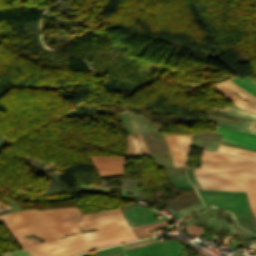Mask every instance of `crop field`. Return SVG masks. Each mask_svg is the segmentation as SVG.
<instances>
[{
    "label": "crop field",
    "instance_id": "obj_1",
    "mask_svg": "<svg viewBox=\"0 0 256 256\" xmlns=\"http://www.w3.org/2000/svg\"><path fill=\"white\" fill-rule=\"evenodd\" d=\"M195 175L203 189L246 191L256 220V163L202 155Z\"/></svg>",
    "mask_w": 256,
    "mask_h": 256
},
{
    "label": "crop field",
    "instance_id": "obj_2",
    "mask_svg": "<svg viewBox=\"0 0 256 256\" xmlns=\"http://www.w3.org/2000/svg\"><path fill=\"white\" fill-rule=\"evenodd\" d=\"M78 217L69 218L61 221H56L52 223H47L43 225H38L34 227H29L21 230L12 231L11 234H20L70 223L77 222ZM80 232L78 229L77 223L15 235L14 238L17 242L21 245L22 248L32 246L35 244H39V240L34 239L32 237L24 238L26 235L34 234L35 236L42 239L44 242L57 239L60 236H65L73 233ZM43 243V242H42ZM25 250L37 255V256H70L82 251L90 250V247L85 242L84 238L82 237L81 233L75 234L72 236H68L65 238L57 239L54 241L46 242L43 244L35 245L32 247L24 248Z\"/></svg>",
    "mask_w": 256,
    "mask_h": 256
},
{
    "label": "crop field",
    "instance_id": "obj_3",
    "mask_svg": "<svg viewBox=\"0 0 256 256\" xmlns=\"http://www.w3.org/2000/svg\"><path fill=\"white\" fill-rule=\"evenodd\" d=\"M79 225L81 229H99L83 234L87 242L133 234L119 209L83 215Z\"/></svg>",
    "mask_w": 256,
    "mask_h": 256
},
{
    "label": "crop field",
    "instance_id": "obj_4",
    "mask_svg": "<svg viewBox=\"0 0 256 256\" xmlns=\"http://www.w3.org/2000/svg\"><path fill=\"white\" fill-rule=\"evenodd\" d=\"M81 215L76 208L26 210L0 216L9 231Z\"/></svg>",
    "mask_w": 256,
    "mask_h": 256
},
{
    "label": "crop field",
    "instance_id": "obj_5",
    "mask_svg": "<svg viewBox=\"0 0 256 256\" xmlns=\"http://www.w3.org/2000/svg\"><path fill=\"white\" fill-rule=\"evenodd\" d=\"M180 249L178 243L169 240L161 243L147 245L124 251L126 256H178L183 253L178 252Z\"/></svg>",
    "mask_w": 256,
    "mask_h": 256
},
{
    "label": "crop field",
    "instance_id": "obj_6",
    "mask_svg": "<svg viewBox=\"0 0 256 256\" xmlns=\"http://www.w3.org/2000/svg\"><path fill=\"white\" fill-rule=\"evenodd\" d=\"M204 204H211L232 213L249 214L245 198L200 195Z\"/></svg>",
    "mask_w": 256,
    "mask_h": 256
},
{
    "label": "crop field",
    "instance_id": "obj_7",
    "mask_svg": "<svg viewBox=\"0 0 256 256\" xmlns=\"http://www.w3.org/2000/svg\"><path fill=\"white\" fill-rule=\"evenodd\" d=\"M90 158L100 176L110 177L115 175H124L122 172L124 157L94 156Z\"/></svg>",
    "mask_w": 256,
    "mask_h": 256
},
{
    "label": "crop field",
    "instance_id": "obj_8",
    "mask_svg": "<svg viewBox=\"0 0 256 256\" xmlns=\"http://www.w3.org/2000/svg\"><path fill=\"white\" fill-rule=\"evenodd\" d=\"M202 154L256 162V152L222 144L219 145L217 152L204 149Z\"/></svg>",
    "mask_w": 256,
    "mask_h": 256
},
{
    "label": "crop field",
    "instance_id": "obj_9",
    "mask_svg": "<svg viewBox=\"0 0 256 256\" xmlns=\"http://www.w3.org/2000/svg\"><path fill=\"white\" fill-rule=\"evenodd\" d=\"M216 132L223 134V136L221 138L223 140L256 147V135L238 131V130H234V129H230V128H226V127L219 126V125H217Z\"/></svg>",
    "mask_w": 256,
    "mask_h": 256
},
{
    "label": "crop field",
    "instance_id": "obj_10",
    "mask_svg": "<svg viewBox=\"0 0 256 256\" xmlns=\"http://www.w3.org/2000/svg\"><path fill=\"white\" fill-rule=\"evenodd\" d=\"M217 111L248 118L241 130L256 134V114L225 106L224 109L214 108Z\"/></svg>",
    "mask_w": 256,
    "mask_h": 256
},
{
    "label": "crop field",
    "instance_id": "obj_11",
    "mask_svg": "<svg viewBox=\"0 0 256 256\" xmlns=\"http://www.w3.org/2000/svg\"><path fill=\"white\" fill-rule=\"evenodd\" d=\"M133 240H136V239L134 235H131V236L113 238L108 240L90 242L89 245L91 246V248H99V247L109 246L116 243H122V242L133 241Z\"/></svg>",
    "mask_w": 256,
    "mask_h": 256
},
{
    "label": "crop field",
    "instance_id": "obj_12",
    "mask_svg": "<svg viewBox=\"0 0 256 256\" xmlns=\"http://www.w3.org/2000/svg\"><path fill=\"white\" fill-rule=\"evenodd\" d=\"M220 83L223 84L224 86L232 89L237 94H239L241 97L247 99L254 106H256V98L254 96H252L251 94H249L248 92H246L245 90H243L242 88H240L239 86H237L236 84H234L233 82H231L230 80L227 79V80H225L223 82H220Z\"/></svg>",
    "mask_w": 256,
    "mask_h": 256
},
{
    "label": "crop field",
    "instance_id": "obj_13",
    "mask_svg": "<svg viewBox=\"0 0 256 256\" xmlns=\"http://www.w3.org/2000/svg\"><path fill=\"white\" fill-rule=\"evenodd\" d=\"M170 221H162V222H157V223H152V224H147L143 226H138V227H133L132 230L134 231L135 235L137 236L138 239L149 237V234L146 229L165 225V224H170Z\"/></svg>",
    "mask_w": 256,
    "mask_h": 256
},
{
    "label": "crop field",
    "instance_id": "obj_14",
    "mask_svg": "<svg viewBox=\"0 0 256 256\" xmlns=\"http://www.w3.org/2000/svg\"><path fill=\"white\" fill-rule=\"evenodd\" d=\"M229 79L256 97V91L253 90L251 87L234 77Z\"/></svg>",
    "mask_w": 256,
    "mask_h": 256
},
{
    "label": "crop field",
    "instance_id": "obj_15",
    "mask_svg": "<svg viewBox=\"0 0 256 256\" xmlns=\"http://www.w3.org/2000/svg\"><path fill=\"white\" fill-rule=\"evenodd\" d=\"M184 229H186L187 231H189V232H191V233H193L195 235H199L200 233L203 232L202 228H200L198 226H194V225H191V226H189L187 228H184Z\"/></svg>",
    "mask_w": 256,
    "mask_h": 256
},
{
    "label": "crop field",
    "instance_id": "obj_16",
    "mask_svg": "<svg viewBox=\"0 0 256 256\" xmlns=\"http://www.w3.org/2000/svg\"><path fill=\"white\" fill-rule=\"evenodd\" d=\"M0 256H32V255L24 252L23 250H20V251L10 252L6 254H1Z\"/></svg>",
    "mask_w": 256,
    "mask_h": 256
},
{
    "label": "crop field",
    "instance_id": "obj_17",
    "mask_svg": "<svg viewBox=\"0 0 256 256\" xmlns=\"http://www.w3.org/2000/svg\"><path fill=\"white\" fill-rule=\"evenodd\" d=\"M244 82H246L247 84H249L250 86H252L253 88L256 89V82H254L252 79H250L249 77L242 79Z\"/></svg>",
    "mask_w": 256,
    "mask_h": 256
},
{
    "label": "crop field",
    "instance_id": "obj_18",
    "mask_svg": "<svg viewBox=\"0 0 256 256\" xmlns=\"http://www.w3.org/2000/svg\"><path fill=\"white\" fill-rule=\"evenodd\" d=\"M211 210H212V207H211ZM211 210L207 214H205L202 217H200L199 219H197V221L202 223L208 217V215L210 214Z\"/></svg>",
    "mask_w": 256,
    "mask_h": 256
}]
</instances>
